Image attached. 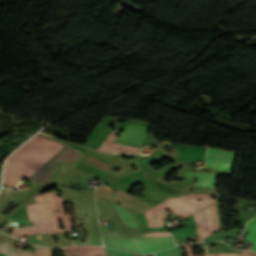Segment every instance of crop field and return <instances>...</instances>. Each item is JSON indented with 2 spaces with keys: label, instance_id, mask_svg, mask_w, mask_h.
I'll return each instance as SVG.
<instances>
[{
  "label": "crop field",
  "instance_id": "e52e79f7",
  "mask_svg": "<svg viewBox=\"0 0 256 256\" xmlns=\"http://www.w3.org/2000/svg\"><path fill=\"white\" fill-rule=\"evenodd\" d=\"M235 154L234 152L210 148L206 157V166L231 171Z\"/></svg>",
  "mask_w": 256,
  "mask_h": 256
},
{
  "label": "crop field",
  "instance_id": "733c2abd",
  "mask_svg": "<svg viewBox=\"0 0 256 256\" xmlns=\"http://www.w3.org/2000/svg\"><path fill=\"white\" fill-rule=\"evenodd\" d=\"M209 256H240V254H236V253H220V254H209Z\"/></svg>",
  "mask_w": 256,
  "mask_h": 256
},
{
  "label": "crop field",
  "instance_id": "5142ce71",
  "mask_svg": "<svg viewBox=\"0 0 256 256\" xmlns=\"http://www.w3.org/2000/svg\"><path fill=\"white\" fill-rule=\"evenodd\" d=\"M156 256H180L178 247L156 253Z\"/></svg>",
  "mask_w": 256,
  "mask_h": 256
},
{
  "label": "crop field",
  "instance_id": "bc2a9ffb",
  "mask_svg": "<svg viewBox=\"0 0 256 256\" xmlns=\"http://www.w3.org/2000/svg\"><path fill=\"white\" fill-rule=\"evenodd\" d=\"M130 147V146H129ZM139 149V148H138Z\"/></svg>",
  "mask_w": 256,
  "mask_h": 256
},
{
  "label": "crop field",
  "instance_id": "34b2d1b8",
  "mask_svg": "<svg viewBox=\"0 0 256 256\" xmlns=\"http://www.w3.org/2000/svg\"><path fill=\"white\" fill-rule=\"evenodd\" d=\"M199 198L202 201H198ZM214 202L209 194H191L180 198H169L144 213L147 227L164 226L162 218H167L165 207L170 211L177 213L183 217L198 211ZM157 217V219H155Z\"/></svg>",
  "mask_w": 256,
  "mask_h": 256
},
{
  "label": "crop field",
  "instance_id": "cbeb9de0",
  "mask_svg": "<svg viewBox=\"0 0 256 256\" xmlns=\"http://www.w3.org/2000/svg\"><path fill=\"white\" fill-rule=\"evenodd\" d=\"M105 249L107 256H131V254L128 252L108 248Z\"/></svg>",
  "mask_w": 256,
  "mask_h": 256
},
{
  "label": "crop field",
  "instance_id": "8a807250",
  "mask_svg": "<svg viewBox=\"0 0 256 256\" xmlns=\"http://www.w3.org/2000/svg\"><path fill=\"white\" fill-rule=\"evenodd\" d=\"M64 148L45 138L34 137L9 158L3 184L14 186L23 177L28 179Z\"/></svg>",
  "mask_w": 256,
  "mask_h": 256
},
{
  "label": "crop field",
  "instance_id": "4a817a6b",
  "mask_svg": "<svg viewBox=\"0 0 256 256\" xmlns=\"http://www.w3.org/2000/svg\"><path fill=\"white\" fill-rule=\"evenodd\" d=\"M183 246H184V248H185V250H186L188 256H194L193 253H192V251H191V249L188 247L187 244H184ZM204 256H207V255H204Z\"/></svg>",
  "mask_w": 256,
  "mask_h": 256
},
{
  "label": "crop field",
  "instance_id": "d1516ede",
  "mask_svg": "<svg viewBox=\"0 0 256 256\" xmlns=\"http://www.w3.org/2000/svg\"><path fill=\"white\" fill-rule=\"evenodd\" d=\"M246 230L249 231L246 240L253 242L251 249L256 250V217L248 223Z\"/></svg>",
  "mask_w": 256,
  "mask_h": 256
},
{
  "label": "crop field",
  "instance_id": "dd49c442",
  "mask_svg": "<svg viewBox=\"0 0 256 256\" xmlns=\"http://www.w3.org/2000/svg\"><path fill=\"white\" fill-rule=\"evenodd\" d=\"M194 217L197 224L198 241L219 230L214 203L208 208L195 213Z\"/></svg>",
  "mask_w": 256,
  "mask_h": 256
},
{
  "label": "crop field",
  "instance_id": "f4fd0767",
  "mask_svg": "<svg viewBox=\"0 0 256 256\" xmlns=\"http://www.w3.org/2000/svg\"><path fill=\"white\" fill-rule=\"evenodd\" d=\"M38 136H42L45 138H48L50 140H53L55 142H58L62 145H65L69 148H65L63 151H61L56 157H54L49 163H47L42 169H40L35 175H33L30 179L33 181L36 177H38L45 169H47L55 160H57L64 152H66L68 149V151L66 153H64L57 161H55L47 170H45L38 178H36L33 182L37 185L42 184L44 182L49 181L50 177L52 176V174L54 173L56 167H57V162L58 161H71L72 159H74L78 154H80L81 152L77 151L76 149L72 148L71 146L60 142L56 139L44 136V135H40L38 134Z\"/></svg>",
  "mask_w": 256,
  "mask_h": 256
},
{
  "label": "crop field",
  "instance_id": "5a996713",
  "mask_svg": "<svg viewBox=\"0 0 256 256\" xmlns=\"http://www.w3.org/2000/svg\"><path fill=\"white\" fill-rule=\"evenodd\" d=\"M68 256H106L103 247L80 246L64 248Z\"/></svg>",
  "mask_w": 256,
  "mask_h": 256
},
{
  "label": "crop field",
  "instance_id": "3316defc",
  "mask_svg": "<svg viewBox=\"0 0 256 256\" xmlns=\"http://www.w3.org/2000/svg\"><path fill=\"white\" fill-rule=\"evenodd\" d=\"M172 146L181 147V153L179 160H204L205 152L207 148L189 145H177ZM184 148H190V150H183Z\"/></svg>",
  "mask_w": 256,
  "mask_h": 256
},
{
  "label": "crop field",
  "instance_id": "d9b57169",
  "mask_svg": "<svg viewBox=\"0 0 256 256\" xmlns=\"http://www.w3.org/2000/svg\"><path fill=\"white\" fill-rule=\"evenodd\" d=\"M142 236H171L170 232H151L145 233Z\"/></svg>",
  "mask_w": 256,
  "mask_h": 256
},
{
  "label": "crop field",
  "instance_id": "22f410ed",
  "mask_svg": "<svg viewBox=\"0 0 256 256\" xmlns=\"http://www.w3.org/2000/svg\"><path fill=\"white\" fill-rule=\"evenodd\" d=\"M115 209H116L117 213L119 214V216L126 223V225L134 227V228H138V226L136 225V223L134 222V220L132 219V217L130 216L128 211L119 209V208H115Z\"/></svg>",
  "mask_w": 256,
  "mask_h": 256
},
{
  "label": "crop field",
  "instance_id": "412701ff",
  "mask_svg": "<svg viewBox=\"0 0 256 256\" xmlns=\"http://www.w3.org/2000/svg\"><path fill=\"white\" fill-rule=\"evenodd\" d=\"M102 233L105 246L143 254L153 253L175 245L172 237H134L125 239L120 231Z\"/></svg>",
  "mask_w": 256,
  "mask_h": 256
},
{
  "label": "crop field",
  "instance_id": "28ad6ade",
  "mask_svg": "<svg viewBox=\"0 0 256 256\" xmlns=\"http://www.w3.org/2000/svg\"><path fill=\"white\" fill-rule=\"evenodd\" d=\"M185 175L186 177L198 179V186L214 188L216 184L214 181L217 175L215 174L185 172Z\"/></svg>",
  "mask_w": 256,
  "mask_h": 256
},
{
  "label": "crop field",
  "instance_id": "ac0d7876",
  "mask_svg": "<svg viewBox=\"0 0 256 256\" xmlns=\"http://www.w3.org/2000/svg\"><path fill=\"white\" fill-rule=\"evenodd\" d=\"M34 198L36 203L26 207L34 227L21 229L12 227L14 236L72 231L70 214H65L62 207L63 199L59 198L54 191L37 195ZM58 219H61L65 230H60Z\"/></svg>",
  "mask_w": 256,
  "mask_h": 256
},
{
  "label": "crop field",
  "instance_id": "d8731c3e",
  "mask_svg": "<svg viewBox=\"0 0 256 256\" xmlns=\"http://www.w3.org/2000/svg\"><path fill=\"white\" fill-rule=\"evenodd\" d=\"M0 253L7 256H52L51 248H44L36 246V253L28 251H16L7 242L0 244Z\"/></svg>",
  "mask_w": 256,
  "mask_h": 256
}]
</instances>
